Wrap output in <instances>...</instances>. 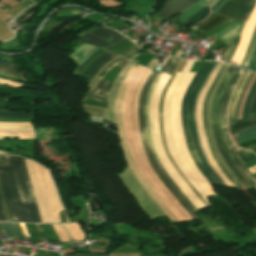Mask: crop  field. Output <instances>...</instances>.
<instances>
[{"label": "crop field", "mask_w": 256, "mask_h": 256, "mask_svg": "<svg viewBox=\"0 0 256 256\" xmlns=\"http://www.w3.org/2000/svg\"><path fill=\"white\" fill-rule=\"evenodd\" d=\"M0 183L11 221L41 222L22 158L0 152Z\"/></svg>", "instance_id": "crop-field-1"}, {"label": "crop field", "mask_w": 256, "mask_h": 256, "mask_svg": "<svg viewBox=\"0 0 256 256\" xmlns=\"http://www.w3.org/2000/svg\"><path fill=\"white\" fill-rule=\"evenodd\" d=\"M158 75V72L152 70L151 74L149 75L148 79L146 80L139 96V103H138V118H139V126H140V133H141V138L143 142V146L145 149V153L148 159V162L152 169L155 171L161 182L166 186V188L172 193V195L177 199V201L182 205V207L189 213V215L193 218L196 219L197 215L196 213L192 210V208L183 200V198L179 195V193L175 190V188L171 185V183L168 181V179L165 177V175L162 173V171L159 169L150 145L148 141V135L145 131V124H146V119H145V100H146V94L148 92V89L150 85L152 84L153 80L155 77ZM147 129V128H146Z\"/></svg>", "instance_id": "crop-field-2"}, {"label": "crop field", "mask_w": 256, "mask_h": 256, "mask_svg": "<svg viewBox=\"0 0 256 256\" xmlns=\"http://www.w3.org/2000/svg\"><path fill=\"white\" fill-rule=\"evenodd\" d=\"M235 70V67L230 66L228 72L226 73L225 77L221 81L212 101L211 110H210V121L212 126L213 135L216 141L217 148L219 150V153L225 162V164L228 166V168L231 170V172L238 178L240 182H242L249 190L253 189V187L247 182V180L240 174L238 169L235 167V165L232 163L230 157L228 156L226 152V148L224 146V143L221 138V134L218 128L217 124V105L220 99L221 94L223 93L224 89L226 88L233 72Z\"/></svg>", "instance_id": "crop-field-3"}, {"label": "crop field", "mask_w": 256, "mask_h": 256, "mask_svg": "<svg viewBox=\"0 0 256 256\" xmlns=\"http://www.w3.org/2000/svg\"><path fill=\"white\" fill-rule=\"evenodd\" d=\"M216 62H209L207 68L205 69L204 73L202 74L200 80L198 81L188 104V119L190 123L191 133L194 141V145L196 148L197 155L203 165L206 167V169L209 171V173L213 176V178L218 182L219 185L226 186L225 183L218 177V175L214 172V170L211 168L210 164L208 163L207 159L205 158L202 149L200 147L197 130H196V124H195V116H194V110H195V104L197 96L202 89L204 83L206 82L208 76L210 75L212 69L214 68ZM227 187V186H226Z\"/></svg>", "instance_id": "crop-field-4"}, {"label": "crop field", "mask_w": 256, "mask_h": 256, "mask_svg": "<svg viewBox=\"0 0 256 256\" xmlns=\"http://www.w3.org/2000/svg\"><path fill=\"white\" fill-rule=\"evenodd\" d=\"M117 175L122 179V181L133 194L138 203L146 211L151 220L158 217H165V215L162 213L156 203L151 199V197L139 183V181L131 173L128 166L125 167L124 172Z\"/></svg>", "instance_id": "crop-field-5"}, {"label": "crop field", "mask_w": 256, "mask_h": 256, "mask_svg": "<svg viewBox=\"0 0 256 256\" xmlns=\"http://www.w3.org/2000/svg\"><path fill=\"white\" fill-rule=\"evenodd\" d=\"M207 64H208V62H205L201 72L196 73L194 79L192 80L190 86L188 87V89L183 97L182 104H181V118H182V127H183V134H184L185 142H186V145H187V148L189 150L192 160L194 161V163L196 164L198 169L201 171V173L205 176V178L208 180V182L211 185H218L216 183V181L211 177V175L207 172V170L203 167V165L200 163V161L195 153L193 141H192L191 134H190L189 123H188V119H187L188 99L191 95V92H192L197 80L199 79L200 75L202 74V72L205 69V67L207 66Z\"/></svg>", "instance_id": "crop-field-6"}, {"label": "crop field", "mask_w": 256, "mask_h": 256, "mask_svg": "<svg viewBox=\"0 0 256 256\" xmlns=\"http://www.w3.org/2000/svg\"><path fill=\"white\" fill-rule=\"evenodd\" d=\"M256 0H229L217 13L245 23Z\"/></svg>", "instance_id": "crop-field-7"}, {"label": "crop field", "mask_w": 256, "mask_h": 256, "mask_svg": "<svg viewBox=\"0 0 256 256\" xmlns=\"http://www.w3.org/2000/svg\"><path fill=\"white\" fill-rule=\"evenodd\" d=\"M124 39L117 32L107 29L105 27L99 28L92 33L80 38L74 43H91L103 49L109 47L110 45Z\"/></svg>", "instance_id": "crop-field-8"}, {"label": "crop field", "mask_w": 256, "mask_h": 256, "mask_svg": "<svg viewBox=\"0 0 256 256\" xmlns=\"http://www.w3.org/2000/svg\"><path fill=\"white\" fill-rule=\"evenodd\" d=\"M253 75H254L253 72L244 71L234 91L231 103L228 108V112H227L228 122L238 119V109H239L240 102L246 92V89Z\"/></svg>", "instance_id": "crop-field-9"}, {"label": "crop field", "mask_w": 256, "mask_h": 256, "mask_svg": "<svg viewBox=\"0 0 256 256\" xmlns=\"http://www.w3.org/2000/svg\"><path fill=\"white\" fill-rule=\"evenodd\" d=\"M133 66H134V63L130 62L126 66V68L120 73V75L113 87L112 93L109 97V104H108L105 118L114 123H116L115 104H116L118 89H119L120 85L122 84L123 80L125 79V77L131 71Z\"/></svg>", "instance_id": "crop-field-10"}, {"label": "crop field", "mask_w": 256, "mask_h": 256, "mask_svg": "<svg viewBox=\"0 0 256 256\" xmlns=\"http://www.w3.org/2000/svg\"><path fill=\"white\" fill-rule=\"evenodd\" d=\"M125 59H123L122 57L117 59L116 61H114L112 64H110L100 75L99 77L95 80V82L92 84V86L90 87V89L88 90L87 94L85 95V97L83 98L82 102L84 103L87 99H91V100H97V101H103L106 102L107 100V96L109 94L108 91H103V90H98L95 89L99 80L106 74V72L111 69L112 67H114L116 64L120 63L121 61H123Z\"/></svg>", "instance_id": "crop-field-11"}, {"label": "crop field", "mask_w": 256, "mask_h": 256, "mask_svg": "<svg viewBox=\"0 0 256 256\" xmlns=\"http://www.w3.org/2000/svg\"><path fill=\"white\" fill-rule=\"evenodd\" d=\"M239 69L236 68L227 88L225 89L221 99H220V102H219V105H218V124H219V128H220V131H221V134H222V138H223V141L225 143V146L227 148V151H228V154L229 156L231 157V159L234 161L235 165L237 166V168L240 170V172L246 177V179L251 183V185L256 189V185L254 184V182L246 175V173L241 169V167L238 165L236 159L234 158V156L232 155L230 149H229V146H228V143H227V140H226V137H225V134H224V130H223V127H222V122H221V109H222V105H223V102H224V99L227 95V92L236 76V74L238 73Z\"/></svg>", "instance_id": "crop-field-12"}, {"label": "crop field", "mask_w": 256, "mask_h": 256, "mask_svg": "<svg viewBox=\"0 0 256 256\" xmlns=\"http://www.w3.org/2000/svg\"><path fill=\"white\" fill-rule=\"evenodd\" d=\"M193 4L195 3L192 0H167L163 9L158 14L167 19Z\"/></svg>", "instance_id": "crop-field-13"}, {"label": "crop field", "mask_w": 256, "mask_h": 256, "mask_svg": "<svg viewBox=\"0 0 256 256\" xmlns=\"http://www.w3.org/2000/svg\"><path fill=\"white\" fill-rule=\"evenodd\" d=\"M117 55L113 53H105L100 58H98L96 61H94L83 73L82 77L89 79L88 83L92 80V78L101 70V68L113 60Z\"/></svg>", "instance_id": "crop-field-14"}, {"label": "crop field", "mask_w": 256, "mask_h": 256, "mask_svg": "<svg viewBox=\"0 0 256 256\" xmlns=\"http://www.w3.org/2000/svg\"><path fill=\"white\" fill-rule=\"evenodd\" d=\"M175 75H176V73L175 72H173V74H172V76L170 77V79H169V81H168V83H167V85H166V87H165V89H164V91H163V94H162V96H161V102H160V109H159V124H160V136H161V140H162V144H163V147H164V149H165V152H166V154H167V157H168V159H169V161L171 162V164L175 167V169L180 173V175L184 178V180L188 183V185L193 189V191L197 194V196L201 199V201L205 204V206L206 207H208L207 205H206V203L202 200V198L198 195V193L194 190V188L189 184V182L186 180V178L184 177V175L181 173V171L177 168V166L174 164V162L172 161V159H171V157H170V155H169V153H168V151H167V148H166V144H165V140H164V136H163V125H162V102H163V97H164V94H165V92L167 91V89H168V87H169V85H170V83H171V81L173 80V78L175 77ZM182 178V179H183Z\"/></svg>", "instance_id": "crop-field-15"}, {"label": "crop field", "mask_w": 256, "mask_h": 256, "mask_svg": "<svg viewBox=\"0 0 256 256\" xmlns=\"http://www.w3.org/2000/svg\"><path fill=\"white\" fill-rule=\"evenodd\" d=\"M224 67H225V64H223L221 70L219 71V73H218V75H217V77H216V79H215V81H214V83H213V85H212L210 91L208 90V91H209V93L207 92L208 95L206 94L207 96H206V98H205V100H204V104H203V125H204V129H205V133H206V137H207V141H208V145H209L210 151H211V153H212V155H213V157H214L216 163L219 165V167H220V168L222 169V171L225 173V175L227 176V178L235 185V187L239 188L238 185L232 180V178L226 173V171L224 170V168L222 167V165H221L220 162L218 161V159H217V157H216V155H215V153H214V151H213V148H212L211 142H210V138H209V133H208L207 124H206V117H205V109H206V104H207L208 96H209V94H210V92H211V90H212V88H213V86H214V84H215L217 78L219 77L220 73H221L222 70L224 69Z\"/></svg>", "instance_id": "crop-field-16"}, {"label": "crop field", "mask_w": 256, "mask_h": 256, "mask_svg": "<svg viewBox=\"0 0 256 256\" xmlns=\"http://www.w3.org/2000/svg\"><path fill=\"white\" fill-rule=\"evenodd\" d=\"M0 77L25 81L19 67L0 61Z\"/></svg>", "instance_id": "crop-field-17"}, {"label": "crop field", "mask_w": 256, "mask_h": 256, "mask_svg": "<svg viewBox=\"0 0 256 256\" xmlns=\"http://www.w3.org/2000/svg\"><path fill=\"white\" fill-rule=\"evenodd\" d=\"M226 20H227V18L213 13L206 20H204L203 22H201L197 25L206 33L209 30L219 26Z\"/></svg>", "instance_id": "crop-field-18"}, {"label": "crop field", "mask_w": 256, "mask_h": 256, "mask_svg": "<svg viewBox=\"0 0 256 256\" xmlns=\"http://www.w3.org/2000/svg\"><path fill=\"white\" fill-rule=\"evenodd\" d=\"M240 75H241V69H240V71H239V73H238V75H237V77H236V79H235V81H234V83H233V85H232V87H231V89H230V91H229V93H228L226 99H225V102H224V105H223V110H222V121H223V125H226V121H225V111H226V107H227V104H228L229 97H230V95H231V93H232V91H233V89H234V87H235V85H236V83H237V81H238ZM231 150H232L233 155L235 156V158H236L237 161L239 162V164L242 166V168L247 172V174H248V175L252 178V180L256 183V179L252 176V174H251V173L249 172V170L245 167V165L241 163L240 159L238 158L237 154L235 153V150H234L233 146H231Z\"/></svg>", "instance_id": "crop-field-19"}, {"label": "crop field", "mask_w": 256, "mask_h": 256, "mask_svg": "<svg viewBox=\"0 0 256 256\" xmlns=\"http://www.w3.org/2000/svg\"><path fill=\"white\" fill-rule=\"evenodd\" d=\"M92 47V45H83V46H81L80 48H78L77 50H75L72 54H70L69 55V57H71V58H73V59H75L76 60V63H78L79 65H78V67L84 62V61H86L87 59H88V57L90 56V55H92L95 51H97L99 48H95V49H93V48H91ZM91 48V49H90ZM88 49H90V50H92L91 52H89V51H87ZM87 51V52H86ZM84 52H86V53H88L87 55H85V56H83L82 54L84 53ZM77 67V68H78ZM76 68V69H77ZM76 69H75V71H76ZM74 71V72H75Z\"/></svg>", "instance_id": "crop-field-20"}, {"label": "crop field", "mask_w": 256, "mask_h": 256, "mask_svg": "<svg viewBox=\"0 0 256 256\" xmlns=\"http://www.w3.org/2000/svg\"><path fill=\"white\" fill-rule=\"evenodd\" d=\"M235 136L240 141V143L256 139V127L235 133Z\"/></svg>", "instance_id": "crop-field-21"}, {"label": "crop field", "mask_w": 256, "mask_h": 256, "mask_svg": "<svg viewBox=\"0 0 256 256\" xmlns=\"http://www.w3.org/2000/svg\"><path fill=\"white\" fill-rule=\"evenodd\" d=\"M204 6L202 5H198L195 4L194 6L188 8L187 10H185L183 13H181L180 15L176 16L180 22L189 18L190 16H192L193 14H195L196 12H198L199 10H201Z\"/></svg>", "instance_id": "crop-field-22"}, {"label": "crop field", "mask_w": 256, "mask_h": 256, "mask_svg": "<svg viewBox=\"0 0 256 256\" xmlns=\"http://www.w3.org/2000/svg\"><path fill=\"white\" fill-rule=\"evenodd\" d=\"M14 225H7V224H2L6 234L8 237H11L12 235H22L21 229L18 224L13 223Z\"/></svg>", "instance_id": "crop-field-23"}, {"label": "crop field", "mask_w": 256, "mask_h": 256, "mask_svg": "<svg viewBox=\"0 0 256 256\" xmlns=\"http://www.w3.org/2000/svg\"><path fill=\"white\" fill-rule=\"evenodd\" d=\"M0 117L33 118L32 114H26V112H11V111H0Z\"/></svg>", "instance_id": "crop-field-24"}, {"label": "crop field", "mask_w": 256, "mask_h": 256, "mask_svg": "<svg viewBox=\"0 0 256 256\" xmlns=\"http://www.w3.org/2000/svg\"><path fill=\"white\" fill-rule=\"evenodd\" d=\"M208 13H209V8L205 7L198 14H196V15L190 17L189 19H187L189 21H187V22H185L183 24L189 25V24H193V23L199 22V21L203 20L208 15Z\"/></svg>", "instance_id": "crop-field-25"}, {"label": "crop field", "mask_w": 256, "mask_h": 256, "mask_svg": "<svg viewBox=\"0 0 256 256\" xmlns=\"http://www.w3.org/2000/svg\"><path fill=\"white\" fill-rule=\"evenodd\" d=\"M239 39H240V35L237 36L233 41H231V42L229 43V45H228V47H227V49H226L224 55H223V56H224L226 59H228L229 61H230V59L232 58V56H233V54H234V51H235V49H236V46H237V44H238Z\"/></svg>", "instance_id": "crop-field-26"}, {"label": "crop field", "mask_w": 256, "mask_h": 256, "mask_svg": "<svg viewBox=\"0 0 256 256\" xmlns=\"http://www.w3.org/2000/svg\"><path fill=\"white\" fill-rule=\"evenodd\" d=\"M255 87H256V81H255V83H254V85H253V87H252V89H251V91H250V93H249V95H248V97H247L246 103H245V105H244V110H243L242 119H240V120H238V121H235L236 123H237V122H240V121H243V120H246V119H249V118H254V117H256V115H253V116L248 117V114H247L248 103H249L250 98H251V96H252V94H253V92H254Z\"/></svg>", "instance_id": "crop-field-27"}, {"label": "crop field", "mask_w": 256, "mask_h": 256, "mask_svg": "<svg viewBox=\"0 0 256 256\" xmlns=\"http://www.w3.org/2000/svg\"><path fill=\"white\" fill-rule=\"evenodd\" d=\"M237 154L243 163L256 158V155L254 153L246 150L237 151Z\"/></svg>", "instance_id": "crop-field-28"}, {"label": "crop field", "mask_w": 256, "mask_h": 256, "mask_svg": "<svg viewBox=\"0 0 256 256\" xmlns=\"http://www.w3.org/2000/svg\"><path fill=\"white\" fill-rule=\"evenodd\" d=\"M177 62H178L177 59L169 58V60L167 61V63L165 64V66L163 67L161 72H164V73H167V74L171 75L172 71L174 70V68L177 64Z\"/></svg>", "instance_id": "crop-field-29"}, {"label": "crop field", "mask_w": 256, "mask_h": 256, "mask_svg": "<svg viewBox=\"0 0 256 256\" xmlns=\"http://www.w3.org/2000/svg\"><path fill=\"white\" fill-rule=\"evenodd\" d=\"M255 40H256V28H255V31H254V33H253V35H252V38H251V41H250L248 50H247V52H246V54H245V58H244V60H243V62H242V64H241L242 67H244L245 64H246V62H247V59H248V57H249V55H250V53H251V50H252V48H253V46H254Z\"/></svg>", "instance_id": "crop-field-30"}, {"label": "crop field", "mask_w": 256, "mask_h": 256, "mask_svg": "<svg viewBox=\"0 0 256 256\" xmlns=\"http://www.w3.org/2000/svg\"><path fill=\"white\" fill-rule=\"evenodd\" d=\"M139 52H141L140 49L135 45V46L131 47L130 49L124 51L120 55L130 59V58L134 57L135 55H137Z\"/></svg>", "instance_id": "crop-field-31"}, {"label": "crop field", "mask_w": 256, "mask_h": 256, "mask_svg": "<svg viewBox=\"0 0 256 256\" xmlns=\"http://www.w3.org/2000/svg\"><path fill=\"white\" fill-rule=\"evenodd\" d=\"M255 122H256V118L250 119V120H246V121H243L241 123L235 124V125L229 127V132H231L233 130H236V129H238L240 127H243V126H247V125L253 124Z\"/></svg>", "instance_id": "crop-field-32"}, {"label": "crop field", "mask_w": 256, "mask_h": 256, "mask_svg": "<svg viewBox=\"0 0 256 256\" xmlns=\"http://www.w3.org/2000/svg\"><path fill=\"white\" fill-rule=\"evenodd\" d=\"M157 161V163H158V165H159V167L161 168V170L165 173V175L168 177V179L171 181V183L173 184V186L182 194V192L178 189V187L174 184V182L170 179V177L166 174V172L164 171V169H163V167H162V165L160 164V162H159V160L157 159L156 160ZM180 194V195H181ZM183 195V194H182ZM181 195V196H182ZM183 197L185 198V196L183 195ZM187 198V197H186ZM185 198V199H186ZM188 199V198H187ZM186 199V201L189 203V205L193 208V210L196 212V211H198L188 200Z\"/></svg>", "instance_id": "crop-field-33"}, {"label": "crop field", "mask_w": 256, "mask_h": 256, "mask_svg": "<svg viewBox=\"0 0 256 256\" xmlns=\"http://www.w3.org/2000/svg\"><path fill=\"white\" fill-rule=\"evenodd\" d=\"M112 84L111 82H107V81H103L101 80V82L99 83V85L97 86L98 89H103V90H108L110 91L111 90V87H112Z\"/></svg>", "instance_id": "crop-field-34"}, {"label": "crop field", "mask_w": 256, "mask_h": 256, "mask_svg": "<svg viewBox=\"0 0 256 256\" xmlns=\"http://www.w3.org/2000/svg\"><path fill=\"white\" fill-rule=\"evenodd\" d=\"M0 220L8 221L7 216H6V212H5V209H4V205H3V202H2L1 194H0Z\"/></svg>", "instance_id": "crop-field-35"}, {"label": "crop field", "mask_w": 256, "mask_h": 256, "mask_svg": "<svg viewBox=\"0 0 256 256\" xmlns=\"http://www.w3.org/2000/svg\"><path fill=\"white\" fill-rule=\"evenodd\" d=\"M255 55H256V43H255V46H254V48H253V51H252V53H251V55H250V58H249L248 63H247V65H246L245 68H247V69H250V68H251V66H252V64H253V61H254Z\"/></svg>", "instance_id": "crop-field-36"}, {"label": "crop field", "mask_w": 256, "mask_h": 256, "mask_svg": "<svg viewBox=\"0 0 256 256\" xmlns=\"http://www.w3.org/2000/svg\"><path fill=\"white\" fill-rule=\"evenodd\" d=\"M256 144V140H252V141H249V142H246V143H243L241 145H238L242 148H245V147H249V146H252V145H255Z\"/></svg>", "instance_id": "crop-field-37"}, {"label": "crop field", "mask_w": 256, "mask_h": 256, "mask_svg": "<svg viewBox=\"0 0 256 256\" xmlns=\"http://www.w3.org/2000/svg\"><path fill=\"white\" fill-rule=\"evenodd\" d=\"M7 101L6 99H0V109L1 110H6L7 108Z\"/></svg>", "instance_id": "crop-field-38"}, {"label": "crop field", "mask_w": 256, "mask_h": 256, "mask_svg": "<svg viewBox=\"0 0 256 256\" xmlns=\"http://www.w3.org/2000/svg\"><path fill=\"white\" fill-rule=\"evenodd\" d=\"M157 62H158V60L152 59V60L150 61V63L147 65V67L153 69L154 66L157 64Z\"/></svg>", "instance_id": "crop-field-39"}, {"label": "crop field", "mask_w": 256, "mask_h": 256, "mask_svg": "<svg viewBox=\"0 0 256 256\" xmlns=\"http://www.w3.org/2000/svg\"><path fill=\"white\" fill-rule=\"evenodd\" d=\"M253 114H256V97H255L253 105H252V115Z\"/></svg>", "instance_id": "crop-field-40"}, {"label": "crop field", "mask_w": 256, "mask_h": 256, "mask_svg": "<svg viewBox=\"0 0 256 256\" xmlns=\"http://www.w3.org/2000/svg\"><path fill=\"white\" fill-rule=\"evenodd\" d=\"M102 49H100V50H98L97 52H95L85 63H87L94 55H96L98 52H100ZM85 63H83L81 66H80V68L85 64ZM79 68V69H80ZM79 69L77 70V72L79 71ZM76 72V73H77Z\"/></svg>", "instance_id": "crop-field-41"}, {"label": "crop field", "mask_w": 256, "mask_h": 256, "mask_svg": "<svg viewBox=\"0 0 256 256\" xmlns=\"http://www.w3.org/2000/svg\"><path fill=\"white\" fill-rule=\"evenodd\" d=\"M255 94H256V90H255V92H254V94H253V96H252V99H251V101H250V105H249V115L251 114V105H252V101H253V99H254Z\"/></svg>", "instance_id": "crop-field-42"}, {"label": "crop field", "mask_w": 256, "mask_h": 256, "mask_svg": "<svg viewBox=\"0 0 256 256\" xmlns=\"http://www.w3.org/2000/svg\"><path fill=\"white\" fill-rule=\"evenodd\" d=\"M228 0H224L215 10L214 12H216L219 8H221Z\"/></svg>", "instance_id": "crop-field-43"}, {"label": "crop field", "mask_w": 256, "mask_h": 256, "mask_svg": "<svg viewBox=\"0 0 256 256\" xmlns=\"http://www.w3.org/2000/svg\"><path fill=\"white\" fill-rule=\"evenodd\" d=\"M209 2V0H200L198 4L206 5Z\"/></svg>", "instance_id": "crop-field-44"}, {"label": "crop field", "mask_w": 256, "mask_h": 256, "mask_svg": "<svg viewBox=\"0 0 256 256\" xmlns=\"http://www.w3.org/2000/svg\"><path fill=\"white\" fill-rule=\"evenodd\" d=\"M255 125H256V123H255V124H253V125H250V126H247V127L241 128V129H239V130L233 131V132H231V133H234V132H237V131H240V130H243V129H246V128H249V127H253V126H255ZM231 133H230V134H231Z\"/></svg>", "instance_id": "crop-field-45"}, {"label": "crop field", "mask_w": 256, "mask_h": 256, "mask_svg": "<svg viewBox=\"0 0 256 256\" xmlns=\"http://www.w3.org/2000/svg\"><path fill=\"white\" fill-rule=\"evenodd\" d=\"M29 121H33V120H29ZM29 121H6V120H0V122H29Z\"/></svg>", "instance_id": "crop-field-46"}, {"label": "crop field", "mask_w": 256, "mask_h": 256, "mask_svg": "<svg viewBox=\"0 0 256 256\" xmlns=\"http://www.w3.org/2000/svg\"><path fill=\"white\" fill-rule=\"evenodd\" d=\"M223 0H219L215 5L214 7L211 9L212 11L222 2Z\"/></svg>", "instance_id": "crop-field-47"}, {"label": "crop field", "mask_w": 256, "mask_h": 256, "mask_svg": "<svg viewBox=\"0 0 256 256\" xmlns=\"http://www.w3.org/2000/svg\"><path fill=\"white\" fill-rule=\"evenodd\" d=\"M247 149H250V150H253L255 153H256V145L255 146H252V147H249Z\"/></svg>", "instance_id": "crop-field-48"}, {"label": "crop field", "mask_w": 256, "mask_h": 256, "mask_svg": "<svg viewBox=\"0 0 256 256\" xmlns=\"http://www.w3.org/2000/svg\"><path fill=\"white\" fill-rule=\"evenodd\" d=\"M0 119H6V120H29V119H9V118H0Z\"/></svg>", "instance_id": "crop-field-49"}, {"label": "crop field", "mask_w": 256, "mask_h": 256, "mask_svg": "<svg viewBox=\"0 0 256 256\" xmlns=\"http://www.w3.org/2000/svg\"><path fill=\"white\" fill-rule=\"evenodd\" d=\"M252 69L256 70V57H255V61H254V65H253Z\"/></svg>", "instance_id": "crop-field-50"}, {"label": "crop field", "mask_w": 256, "mask_h": 256, "mask_svg": "<svg viewBox=\"0 0 256 256\" xmlns=\"http://www.w3.org/2000/svg\"><path fill=\"white\" fill-rule=\"evenodd\" d=\"M82 44H78V45H76L74 48H72L71 50H75V49H77L79 46H81Z\"/></svg>", "instance_id": "crop-field-51"}, {"label": "crop field", "mask_w": 256, "mask_h": 256, "mask_svg": "<svg viewBox=\"0 0 256 256\" xmlns=\"http://www.w3.org/2000/svg\"><path fill=\"white\" fill-rule=\"evenodd\" d=\"M218 0H214L212 5H211V8L213 7V5L217 2Z\"/></svg>", "instance_id": "crop-field-52"}, {"label": "crop field", "mask_w": 256, "mask_h": 256, "mask_svg": "<svg viewBox=\"0 0 256 256\" xmlns=\"http://www.w3.org/2000/svg\"><path fill=\"white\" fill-rule=\"evenodd\" d=\"M196 3L199 1V0H194Z\"/></svg>", "instance_id": "crop-field-53"}]
</instances>
